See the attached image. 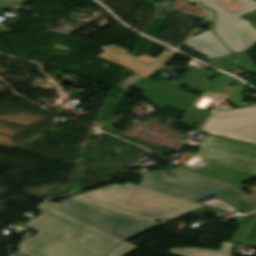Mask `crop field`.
<instances>
[{"label":"crop field","mask_w":256,"mask_h":256,"mask_svg":"<svg viewBox=\"0 0 256 256\" xmlns=\"http://www.w3.org/2000/svg\"><path fill=\"white\" fill-rule=\"evenodd\" d=\"M201 130L256 145V108L230 113H215Z\"/></svg>","instance_id":"crop-field-8"},{"label":"crop field","mask_w":256,"mask_h":256,"mask_svg":"<svg viewBox=\"0 0 256 256\" xmlns=\"http://www.w3.org/2000/svg\"><path fill=\"white\" fill-rule=\"evenodd\" d=\"M14 256H26V255H24V254L18 252V253H16Z\"/></svg>","instance_id":"crop-field-15"},{"label":"crop field","mask_w":256,"mask_h":256,"mask_svg":"<svg viewBox=\"0 0 256 256\" xmlns=\"http://www.w3.org/2000/svg\"><path fill=\"white\" fill-rule=\"evenodd\" d=\"M69 199L151 222L157 226L206 206L130 183L108 186ZM164 218L167 221H164ZM157 220L162 223H156Z\"/></svg>","instance_id":"crop-field-3"},{"label":"crop field","mask_w":256,"mask_h":256,"mask_svg":"<svg viewBox=\"0 0 256 256\" xmlns=\"http://www.w3.org/2000/svg\"><path fill=\"white\" fill-rule=\"evenodd\" d=\"M39 210L44 212L27 225L39 233L19 244L31 256H104L123 241L47 205Z\"/></svg>","instance_id":"crop-field-1"},{"label":"crop field","mask_w":256,"mask_h":256,"mask_svg":"<svg viewBox=\"0 0 256 256\" xmlns=\"http://www.w3.org/2000/svg\"><path fill=\"white\" fill-rule=\"evenodd\" d=\"M136 246L127 242L121 243L111 250L106 256H124L133 250Z\"/></svg>","instance_id":"crop-field-14"},{"label":"crop field","mask_w":256,"mask_h":256,"mask_svg":"<svg viewBox=\"0 0 256 256\" xmlns=\"http://www.w3.org/2000/svg\"><path fill=\"white\" fill-rule=\"evenodd\" d=\"M45 204L66 214H69L77 219H80L88 224H91L99 229H102L123 240L156 227L151 223L133 219L71 200H66L59 204L46 201Z\"/></svg>","instance_id":"crop-field-6"},{"label":"crop field","mask_w":256,"mask_h":256,"mask_svg":"<svg viewBox=\"0 0 256 256\" xmlns=\"http://www.w3.org/2000/svg\"><path fill=\"white\" fill-rule=\"evenodd\" d=\"M255 219H256V212L250 215H247L245 217L238 218L236 222L241 226L230 241L238 242V240L241 238V236L244 234V232L247 230V228L252 224V222ZM239 243L256 247V221Z\"/></svg>","instance_id":"crop-field-12"},{"label":"crop field","mask_w":256,"mask_h":256,"mask_svg":"<svg viewBox=\"0 0 256 256\" xmlns=\"http://www.w3.org/2000/svg\"><path fill=\"white\" fill-rule=\"evenodd\" d=\"M173 172L175 179L164 173ZM139 186L174 195L187 200H198L215 195L235 186L212 180L180 169H167L141 174Z\"/></svg>","instance_id":"crop-field-5"},{"label":"crop field","mask_w":256,"mask_h":256,"mask_svg":"<svg viewBox=\"0 0 256 256\" xmlns=\"http://www.w3.org/2000/svg\"><path fill=\"white\" fill-rule=\"evenodd\" d=\"M193 155L256 173V146L208 134Z\"/></svg>","instance_id":"crop-field-7"},{"label":"crop field","mask_w":256,"mask_h":256,"mask_svg":"<svg viewBox=\"0 0 256 256\" xmlns=\"http://www.w3.org/2000/svg\"><path fill=\"white\" fill-rule=\"evenodd\" d=\"M235 244L225 241L222 243L219 251L200 250L196 248H174L168 252L177 256H231V249Z\"/></svg>","instance_id":"crop-field-13"},{"label":"crop field","mask_w":256,"mask_h":256,"mask_svg":"<svg viewBox=\"0 0 256 256\" xmlns=\"http://www.w3.org/2000/svg\"><path fill=\"white\" fill-rule=\"evenodd\" d=\"M100 49L106 52L98 57L135 72L117 87L125 89L130 86H136L138 89L146 92L143 95L154 103L157 109L171 106L184 112L193 104L194 100L191 98L197 99V97L181 90L180 87L185 84L190 87V90L203 91L209 83L207 78L215 75V73L212 72L189 70L184 78L177 81L170 80L160 86L148 80L158 70L167 72H171L172 69L182 70V68L179 67L163 66L175 55V51L167 48L170 52L164 51L154 59L145 54L138 58L130 56L128 55V50L113 44L109 46L104 45Z\"/></svg>","instance_id":"crop-field-2"},{"label":"crop field","mask_w":256,"mask_h":256,"mask_svg":"<svg viewBox=\"0 0 256 256\" xmlns=\"http://www.w3.org/2000/svg\"><path fill=\"white\" fill-rule=\"evenodd\" d=\"M201 3L216 11L215 33L234 53L245 51L256 42V29L239 18L256 9L255 0H205Z\"/></svg>","instance_id":"crop-field-4"},{"label":"crop field","mask_w":256,"mask_h":256,"mask_svg":"<svg viewBox=\"0 0 256 256\" xmlns=\"http://www.w3.org/2000/svg\"><path fill=\"white\" fill-rule=\"evenodd\" d=\"M188 1H190V2L194 3V2H196V1H198V0H188Z\"/></svg>","instance_id":"crop-field-16"},{"label":"crop field","mask_w":256,"mask_h":256,"mask_svg":"<svg viewBox=\"0 0 256 256\" xmlns=\"http://www.w3.org/2000/svg\"><path fill=\"white\" fill-rule=\"evenodd\" d=\"M209 62L210 65L217 66V68L225 71L242 66L244 68H249L251 71L256 73V65L246 53L212 59L209 60Z\"/></svg>","instance_id":"crop-field-11"},{"label":"crop field","mask_w":256,"mask_h":256,"mask_svg":"<svg viewBox=\"0 0 256 256\" xmlns=\"http://www.w3.org/2000/svg\"><path fill=\"white\" fill-rule=\"evenodd\" d=\"M205 9L209 13L208 20H212L211 31H205L200 35L190 37L184 45L200 52L208 59L231 55L232 53L213 35L214 12L207 8Z\"/></svg>","instance_id":"crop-field-9"},{"label":"crop field","mask_w":256,"mask_h":256,"mask_svg":"<svg viewBox=\"0 0 256 256\" xmlns=\"http://www.w3.org/2000/svg\"><path fill=\"white\" fill-rule=\"evenodd\" d=\"M245 187L244 185H239L214 197L244 213H248L256 210V193L245 196V193L240 190Z\"/></svg>","instance_id":"crop-field-10"}]
</instances>
